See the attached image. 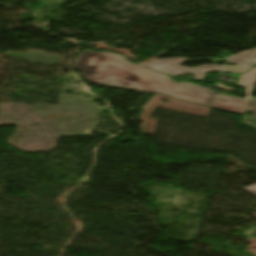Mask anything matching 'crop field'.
<instances>
[{"label":"crop field","instance_id":"8a807250","mask_svg":"<svg viewBox=\"0 0 256 256\" xmlns=\"http://www.w3.org/2000/svg\"><path fill=\"white\" fill-rule=\"evenodd\" d=\"M73 68L90 83L160 93L212 106L215 92L195 84L175 83L156 71L135 66L115 53L82 52Z\"/></svg>","mask_w":256,"mask_h":256},{"label":"crop field","instance_id":"ac0d7876","mask_svg":"<svg viewBox=\"0 0 256 256\" xmlns=\"http://www.w3.org/2000/svg\"><path fill=\"white\" fill-rule=\"evenodd\" d=\"M228 78H236L237 87H243L247 88V96L246 100L231 97V96H220L217 95L214 103H213V108L233 112L236 114L243 115L244 111L249 103L253 87L256 82V69L251 68V70L246 74V75H241V74H228Z\"/></svg>","mask_w":256,"mask_h":256},{"label":"crop field","instance_id":"34b2d1b8","mask_svg":"<svg viewBox=\"0 0 256 256\" xmlns=\"http://www.w3.org/2000/svg\"><path fill=\"white\" fill-rule=\"evenodd\" d=\"M190 59L174 58L168 60H156L146 66L158 70L160 72L169 74L171 76L186 75L188 73L195 74L196 80H202L207 72H220L222 66L203 65L198 68H187L180 66L181 63Z\"/></svg>","mask_w":256,"mask_h":256},{"label":"crop field","instance_id":"412701ff","mask_svg":"<svg viewBox=\"0 0 256 256\" xmlns=\"http://www.w3.org/2000/svg\"><path fill=\"white\" fill-rule=\"evenodd\" d=\"M227 59L238 64L253 66L256 64V49L239 53Z\"/></svg>","mask_w":256,"mask_h":256},{"label":"crop field","instance_id":"f4fd0767","mask_svg":"<svg viewBox=\"0 0 256 256\" xmlns=\"http://www.w3.org/2000/svg\"><path fill=\"white\" fill-rule=\"evenodd\" d=\"M249 70L248 67H244V66H236V67H229V66H225L222 72H235V73H245Z\"/></svg>","mask_w":256,"mask_h":256},{"label":"crop field","instance_id":"dd49c442","mask_svg":"<svg viewBox=\"0 0 256 256\" xmlns=\"http://www.w3.org/2000/svg\"><path fill=\"white\" fill-rule=\"evenodd\" d=\"M246 112H254V113H256V97H252L251 98L249 106H248ZM253 118L256 119V114H255V116Z\"/></svg>","mask_w":256,"mask_h":256},{"label":"crop field","instance_id":"e52e79f7","mask_svg":"<svg viewBox=\"0 0 256 256\" xmlns=\"http://www.w3.org/2000/svg\"><path fill=\"white\" fill-rule=\"evenodd\" d=\"M242 123L256 130V121L255 120L244 116Z\"/></svg>","mask_w":256,"mask_h":256},{"label":"crop field","instance_id":"d8731c3e","mask_svg":"<svg viewBox=\"0 0 256 256\" xmlns=\"http://www.w3.org/2000/svg\"><path fill=\"white\" fill-rule=\"evenodd\" d=\"M244 190H246V191H248V192H250V193H252L253 195L256 196V185L247 187V188H245Z\"/></svg>","mask_w":256,"mask_h":256},{"label":"crop field","instance_id":"5a996713","mask_svg":"<svg viewBox=\"0 0 256 256\" xmlns=\"http://www.w3.org/2000/svg\"><path fill=\"white\" fill-rule=\"evenodd\" d=\"M254 67H256V66H254Z\"/></svg>","mask_w":256,"mask_h":256}]
</instances>
